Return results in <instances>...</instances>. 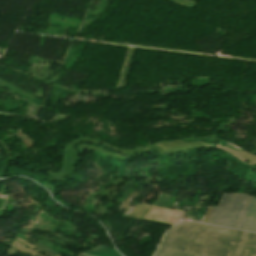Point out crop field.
Segmentation results:
<instances>
[{"instance_id": "ac0d7876", "label": "crop field", "mask_w": 256, "mask_h": 256, "mask_svg": "<svg viewBox=\"0 0 256 256\" xmlns=\"http://www.w3.org/2000/svg\"><path fill=\"white\" fill-rule=\"evenodd\" d=\"M251 199L247 195L224 194L208 223L240 229Z\"/></svg>"}, {"instance_id": "34b2d1b8", "label": "crop field", "mask_w": 256, "mask_h": 256, "mask_svg": "<svg viewBox=\"0 0 256 256\" xmlns=\"http://www.w3.org/2000/svg\"><path fill=\"white\" fill-rule=\"evenodd\" d=\"M243 230L256 232V199H252L242 228Z\"/></svg>"}, {"instance_id": "8a807250", "label": "crop field", "mask_w": 256, "mask_h": 256, "mask_svg": "<svg viewBox=\"0 0 256 256\" xmlns=\"http://www.w3.org/2000/svg\"><path fill=\"white\" fill-rule=\"evenodd\" d=\"M155 256H256V234L181 221Z\"/></svg>"}]
</instances>
